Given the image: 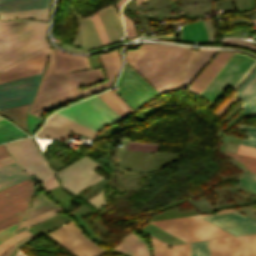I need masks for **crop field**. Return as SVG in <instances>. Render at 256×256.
I'll use <instances>...</instances> for the list:
<instances>
[{
	"label": "crop field",
	"instance_id": "crop-field-1",
	"mask_svg": "<svg viewBox=\"0 0 256 256\" xmlns=\"http://www.w3.org/2000/svg\"><path fill=\"white\" fill-rule=\"evenodd\" d=\"M55 50L60 70L45 72L37 89L34 103L29 111L32 113L47 106L46 108L34 113V115L38 117L45 110L51 109L59 104L97 93L109 87L112 85L121 67V61L116 50L109 53L100 54L99 56L109 81L79 91L83 89L81 88L77 90L81 85H89L103 80L104 78L102 70L94 69L80 72L63 73L71 70L89 68L87 57L67 55L57 49Z\"/></svg>",
	"mask_w": 256,
	"mask_h": 256
},
{
	"label": "crop field",
	"instance_id": "crop-field-2",
	"mask_svg": "<svg viewBox=\"0 0 256 256\" xmlns=\"http://www.w3.org/2000/svg\"><path fill=\"white\" fill-rule=\"evenodd\" d=\"M190 49L161 44H145L126 55L128 62L157 90ZM192 52L157 90L161 93L185 87L216 51Z\"/></svg>",
	"mask_w": 256,
	"mask_h": 256
},
{
	"label": "crop field",
	"instance_id": "crop-field-3",
	"mask_svg": "<svg viewBox=\"0 0 256 256\" xmlns=\"http://www.w3.org/2000/svg\"><path fill=\"white\" fill-rule=\"evenodd\" d=\"M48 23L0 21V72L51 47L45 39Z\"/></svg>",
	"mask_w": 256,
	"mask_h": 256
},
{
	"label": "crop field",
	"instance_id": "crop-field-4",
	"mask_svg": "<svg viewBox=\"0 0 256 256\" xmlns=\"http://www.w3.org/2000/svg\"><path fill=\"white\" fill-rule=\"evenodd\" d=\"M56 113L97 133L108 124L122 119L97 96Z\"/></svg>",
	"mask_w": 256,
	"mask_h": 256
},
{
	"label": "crop field",
	"instance_id": "crop-field-5",
	"mask_svg": "<svg viewBox=\"0 0 256 256\" xmlns=\"http://www.w3.org/2000/svg\"><path fill=\"white\" fill-rule=\"evenodd\" d=\"M149 223L186 242L232 236V234L196 216L154 221Z\"/></svg>",
	"mask_w": 256,
	"mask_h": 256
},
{
	"label": "crop field",
	"instance_id": "crop-field-6",
	"mask_svg": "<svg viewBox=\"0 0 256 256\" xmlns=\"http://www.w3.org/2000/svg\"><path fill=\"white\" fill-rule=\"evenodd\" d=\"M5 146L28 176L35 173L43 181L52 174V169L43 159L32 138L6 143Z\"/></svg>",
	"mask_w": 256,
	"mask_h": 256
},
{
	"label": "crop field",
	"instance_id": "crop-field-7",
	"mask_svg": "<svg viewBox=\"0 0 256 256\" xmlns=\"http://www.w3.org/2000/svg\"><path fill=\"white\" fill-rule=\"evenodd\" d=\"M254 61L247 56L235 54L201 95L214 104L227 87L234 86Z\"/></svg>",
	"mask_w": 256,
	"mask_h": 256
},
{
	"label": "crop field",
	"instance_id": "crop-field-8",
	"mask_svg": "<svg viewBox=\"0 0 256 256\" xmlns=\"http://www.w3.org/2000/svg\"><path fill=\"white\" fill-rule=\"evenodd\" d=\"M99 165L85 156L82 157L57 172L62 182V187L76 194L94 184L103 178L93 171Z\"/></svg>",
	"mask_w": 256,
	"mask_h": 256
},
{
	"label": "crop field",
	"instance_id": "crop-field-9",
	"mask_svg": "<svg viewBox=\"0 0 256 256\" xmlns=\"http://www.w3.org/2000/svg\"><path fill=\"white\" fill-rule=\"evenodd\" d=\"M116 85V92L135 111L157 93L130 67L123 69Z\"/></svg>",
	"mask_w": 256,
	"mask_h": 256
},
{
	"label": "crop field",
	"instance_id": "crop-field-10",
	"mask_svg": "<svg viewBox=\"0 0 256 256\" xmlns=\"http://www.w3.org/2000/svg\"><path fill=\"white\" fill-rule=\"evenodd\" d=\"M40 74L0 85V109L31 102Z\"/></svg>",
	"mask_w": 256,
	"mask_h": 256
},
{
	"label": "crop field",
	"instance_id": "crop-field-11",
	"mask_svg": "<svg viewBox=\"0 0 256 256\" xmlns=\"http://www.w3.org/2000/svg\"><path fill=\"white\" fill-rule=\"evenodd\" d=\"M33 182L28 179L0 191V219L27 209Z\"/></svg>",
	"mask_w": 256,
	"mask_h": 256
},
{
	"label": "crop field",
	"instance_id": "crop-field-12",
	"mask_svg": "<svg viewBox=\"0 0 256 256\" xmlns=\"http://www.w3.org/2000/svg\"><path fill=\"white\" fill-rule=\"evenodd\" d=\"M198 217L234 234H246L256 232V222L240 215L233 209L219 211L212 215H197Z\"/></svg>",
	"mask_w": 256,
	"mask_h": 256
},
{
	"label": "crop field",
	"instance_id": "crop-field-13",
	"mask_svg": "<svg viewBox=\"0 0 256 256\" xmlns=\"http://www.w3.org/2000/svg\"><path fill=\"white\" fill-rule=\"evenodd\" d=\"M73 132L94 139L95 133L56 114L52 115L38 136L66 139Z\"/></svg>",
	"mask_w": 256,
	"mask_h": 256
},
{
	"label": "crop field",
	"instance_id": "crop-field-14",
	"mask_svg": "<svg viewBox=\"0 0 256 256\" xmlns=\"http://www.w3.org/2000/svg\"><path fill=\"white\" fill-rule=\"evenodd\" d=\"M235 256H252L251 235L234 238ZM233 238L210 241V256H234Z\"/></svg>",
	"mask_w": 256,
	"mask_h": 256
},
{
	"label": "crop field",
	"instance_id": "crop-field-15",
	"mask_svg": "<svg viewBox=\"0 0 256 256\" xmlns=\"http://www.w3.org/2000/svg\"><path fill=\"white\" fill-rule=\"evenodd\" d=\"M47 60V50L0 73V83L19 79L43 71Z\"/></svg>",
	"mask_w": 256,
	"mask_h": 256
},
{
	"label": "crop field",
	"instance_id": "crop-field-16",
	"mask_svg": "<svg viewBox=\"0 0 256 256\" xmlns=\"http://www.w3.org/2000/svg\"><path fill=\"white\" fill-rule=\"evenodd\" d=\"M234 53L219 51L189 86L190 92L200 94Z\"/></svg>",
	"mask_w": 256,
	"mask_h": 256
},
{
	"label": "crop field",
	"instance_id": "crop-field-17",
	"mask_svg": "<svg viewBox=\"0 0 256 256\" xmlns=\"http://www.w3.org/2000/svg\"><path fill=\"white\" fill-rule=\"evenodd\" d=\"M109 42L119 41L124 35L122 21L112 5L97 12Z\"/></svg>",
	"mask_w": 256,
	"mask_h": 256
},
{
	"label": "crop field",
	"instance_id": "crop-field-18",
	"mask_svg": "<svg viewBox=\"0 0 256 256\" xmlns=\"http://www.w3.org/2000/svg\"><path fill=\"white\" fill-rule=\"evenodd\" d=\"M55 242H57L60 246L66 248L75 256H97L94 251L88 248L86 245L81 243L71 234L66 232L61 227L56 231L48 234Z\"/></svg>",
	"mask_w": 256,
	"mask_h": 256
},
{
	"label": "crop field",
	"instance_id": "crop-field-19",
	"mask_svg": "<svg viewBox=\"0 0 256 256\" xmlns=\"http://www.w3.org/2000/svg\"><path fill=\"white\" fill-rule=\"evenodd\" d=\"M113 248L132 256H151L150 246L134 232H129L122 237L121 241Z\"/></svg>",
	"mask_w": 256,
	"mask_h": 256
},
{
	"label": "crop field",
	"instance_id": "crop-field-20",
	"mask_svg": "<svg viewBox=\"0 0 256 256\" xmlns=\"http://www.w3.org/2000/svg\"><path fill=\"white\" fill-rule=\"evenodd\" d=\"M26 179L28 177L16 162L0 166V190Z\"/></svg>",
	"mask_w": 256,
	"mask_h": 256
},
{
	"label": "crop field",
	"instance_id": "crop-field-21",
	"mask_svg": "<svg viewBox=\"0 0 256 256\" xmlns=\"http://www.w3.org/2000/svg\"><path fill=\"white\" fill-rule=\"evenodd\" d=\"M50 0H0V12L49 8Z\"/></svg>",
	"mask_w": 256,
	"mask_h": 256
},
{
	"label": "crop field",
	"instance_id": "crop-field-22",
	"mask_svg": "<svg viewBox=\"0 0 256 256\" xmlns=\"http://www.w3.org/2000/svg\"><path fill=\"white\" fill-rule=\"evenodd\" d=\"M153 256H190V243L172 245V249L167 244L152 237Z\"/></svg>",
	"mask_w": 256,
	"mask_h": 256
},
{
	"label": "crop field",
	"instance_id": "crop-field-23",
	"mask_svg": "<svg viewBox=\"0 0 256 256\" xmlns=\"http://www.w3.org/2000/svg\"><path fill=\"white\" fill-rule=\"evenodd\" d=\"M71 10L81 25L84 48L90 49L102 45L90 16L82 19L79 14L75 15L73 9Z\"/></svg>",
	"mask_w": 256,
	"mask_h": 256
},
{
	"label": "crop field",
	"instance_id": "crop-field-24",
	"mask_svg": "<svg viewBox=\"0 0 256 256\" xmlns=\"http://www.w3.org/2000/svg\"><path fill=\"white\" fill-rule=\"evenodd\" d=\"M256 68L253 70V72L249 75V77L244 81V83L239 87L237 90L239 96L243 94V92L248 88V86L252 83V81L256 78ZM255 75V76H254ZM254 76V78H253ZM253 78V79H252ZM252 79V80H251ZM251 80V81H250ZM250 81V82H249ZM249 82V84H248ZM248 84V85H247ZM247 85V86H246ZM246 86V87H245ZM245 87V88H244ZM244 88V90H243ZM243 90V91H242ZM242 91V92H241ZM242 94H241V93ZM245 99L247 100L249 106L256 98V80L254 83L247 89V91L243 94ZM243 95L240 97L244 100L246 106H247V114H256V100L252 103V105L249 107L247 102L245 101ZM247 116H256V115H247Z\"/></svg>",
	"mask_w": 256,
	"mask_h": 256
},
{
	"label": "crop field",
	"instance_id": "crop-field-25",
	"mask_svg": "<svg viewBox=\"0 0 256 256\" xmlns=\"http://www.w3.org/2000/svg\"><path fill=\"white\" fill-rule=\"evenodd\" d=\"M182 35L185 40L207 42V36L202 20L183 26Z\"/></svg>",
	"mask_w": 256,
	"mask_h": 256
},
{
	"label": "crop field",
	"instance_id": "crop-field-26",
	"mask_svg": "<svg viewBox=\"0 0 256 256\" xmlns=\"http://www.w3.org/2000/svg\"><path fill=\"white\" fill-rule=\"evenodd\" d=\"M105 103L122 117L134 112L112 90L98 95Z\"/></svg>",
	"mask_w": 256,
	"mask_h": 256
},
{
	"label": "crop field",
	"instance_id": "crop-field-27",
	"mask_svg": "<svg viewBox=\"0 0 256 256\" xmlns=\"http://www.w3.org/2000/svg\"><path fill=\"white\" fill-rule=\"evenodd\" d=\"M30 104L1 110L0 113L15 122L19 127L29 133L26 125V113ZM30 134V133H29Z\"/></svg>",
	"mask_w": 256,
	"mask_h": 256
},
{
	"label": "crop field",
	"instance_id": "crop-field-28",
	"mask_svg": "<svg viewBox=\"0 0 256 256\" xmlns=\"http://www.w3.org/2000/svg\"><path fill=\"white\" fill-rule=\"evenodd\" d=\"M49 9L43 10H31V11H19V12H4L0 13L2 20L18 19V18H34L47 20Z\"/></svg>",
	"mask_w": 256,
	"mask_h": 256
},
{
	"label": "crop field",
	"instance_id": "crop-field-29",
	"mask_svg": "<svg viewBox=\"0 0 256 256\" xmlns=\"http://www.w3.org/2000/svg\"><path fill=\"white\" fill-rule=\"evenodd\" d=\"M62 227L65 230H67L69 233H71L73 236H75L77 239L82 241L84 244H86L88 247H90L92 250H94L96 253L100 254V253L106 251V250L98 247L95 243H93L91 240H89L87 237H85L82 234V232L78 229V227L75 225L74 221H71V222H69V225H64Z\"/></svg>",
	"mask_w": 256,
	"mask_h": 256
},
{
	"label": "crop field",
	"instance_id": "crop-field-30",
	"mask_svg": "<svg viewBox=\"0 0 256 256\" xmlns=\"http://www.w3.org/2000/svg\"><path fill=\"white\" fill-rule=\"evenodd\" d=\"M11 127L15 128L19 132H17L15 129H13ZM8 128H11V129H8ZM6 129H8V130H6ZM3 130H6V131H3ZM0 131H3V132H0V137L11 134V133H14V132H17V133H14V134H11V135L0 138V143L6 142V141H9V140H13V139H16V138L28 136L25 133H23L22 131H20L18 128H16L14 125H12L11 123L6 124L4 126H1Z\"/></svg>",
	"mask_w": 256,
	"mask_h": 256
},
{
	"label": "crop field",
	"instance_id": "crop-field-31",
	"mask_svg": "<svg viewBox=\"0 0 256 256\" xmlns=\"http://www.w3.org/2000/svg\"><path fill=\"white\" fill-rule=\"evenodd\" d=\"M238 180L241 183L237 187L256 191V173L248 172L238 177Z\"/></svg>",
	"mask_w": 256,
	"mask_h": 256
},
{
	"label": "crop field",
	"instance_id": "crop-field-32",
	"mask_svg": "<svg viewBox=\"0 0 256 256\" xmlns=\"http://www.w3.org/2000/svg\"><path fill=\"white\" fill-rule=\"evenodd\" d=\"M224 153L235 158L237 161L243 164L249 171L256 172V158L243 156L227 151H225Z\"/></svg>",
	"mask_w": 256,
	"mask_h": 256
},
{
	"label": "crop field",
	"instance_id": "crop-field-33",
	"mask_svg": "<svg viewBox=\"0 0 256 256\" xmlns=\"http://www.w3.org/2000/svg\"><path fill=\"white\" fill-rule=\"evenodd\" d=\"M191 256H209V241L191 243Z\"/></svg>",
	"mask_w": 256,
	"mask_h": 256
},
{
	"label": "crop field",
	"instance_id": "crop-field-34",
	"mask_svg": "<svg viewBox=\"0 0 256 256\" xmlns=\"http://www.w3.org/2000/svg\"><path fill=\"white\" fill-rule=\"evenodd\" d=\"M239 128L248 130L246 135L249 136L248 139H243L241 144L256 148V127L240 125Z\"/></svg>",
	"mask_w": 256,
	"mask_h": 256
},
{
	"label": "crop field",
	"instance_id": "crop-field-35",
	"mask_svg": "<svg viewBox=\"0 0 256 256\" xmlns=\"http://www.w3.org/2000/svg\"><path fill=\"white\" fill-rule=\"evenodd\" d=\"M159 144H142L136 142H129L126 149L144 150V151H157Z\"/></svg>",
	"mask_w": 256,
	"mask_h": 256
},
{
	"label": "crop field",
	"instance_id": "crop-field-36",
	"mask_svg": "<svg viewBox=\"0 0 256 256\" xmlns=\"http://www.w3.org/2000/svg\"><path fill=\"white\" fill-rule=\"evenodd\" d=\"M87 201L90 202L93 206H95L97 208V210L101 209V206L107 205L104 202L103 191L99 192L98 194H96L95 196L91 197Z\"/></svg>",
	"mask_w": 256,
	"mask_h": 256
},
{
	"label": "crop field",
	"instance_id": "crop-field-37",
	"mask_svg": "<svg viewBox=\"0 0 256 256\" xmlns=\"http://www.w3.org/2000/svg\"><path fill=\"white\" fill-rule=\"evenodd\" d=\"M91 18H92V21H93V23H94V25H95V27H96L98 33H99V36H100V39H101L103 45H104L105 43H109L108 40H107V38H106V35H105V33H104V30H103V28H102V26H101V23H100V21H99V18H98V16H97V14H94Z\"/></svg>",
	"mask_w": 256,
	"mask_h": 256
},
{
	"label": "crop field",
	"instance_id": "crop-field-38",
	"mask_svg": "<svg viewBox=\"0 0 256 256\" xmlns=\"http://www.w3.org/2000/svg\"><path fill=\"white\" fill-rule=\"evenodd\" d=\"M59 210H61L60 207H58V208H56V209H54V210H52V211H50V212H47V213H44V214H41V215H38V216H35V217H32V218H29V219H27V220H23V221L21 222V224L18 226L17 229H19V228H21V227H23V226H26V225H28V224H31V223H33V222H35V221H38V220H40V219H42V218H44V217H46V216H48V215H50V214H52V213H54V212H57V211H59Z\"/></svg>",
	"mask_w": 256,
	"mask_h": 256
},
{
	"label": "crop field",
	"instance_id": "crop-field-39",
	"mask_svg": "<svg viewBox=\"0 0 256 256\" xmlns=\"http://www.w3.org/2000/svg\"><path fill=\"white\" fill-rule=\"evenodd\" d=\"M28 123H29V130L33 134L34 131L39 127V125L42 123V119L37 118L31 114L28 113Z\"/></svg>",
	"mask_w": 256,
	"mask_h": 256
},
{
	"label": "crop field",
	"instance_id": "crop-field-40",
	"mask_svg": "<svg viewBox=\"0 0 256 256\" xmlns=\"http://www.w3.org/2000/svg\"><path fill=\"white\" fill-rule=\"evenodd\" d=\"M124 20H125V28H126L127 36H129V37L136 36L137 34H136L132 20L127 18L125 15H124Z\"/></svg>",
	"mask_w": 256,
	"mask_h": 256
},
{
	"label": "crop field",
	"instance_id": "crop-field-41",
	"mask_svg": "<svg viewBox=\"0 0 256 256\" xmlns=\"http://www.w3.org/2000/svg\"><path fill=\"white\" fill-rule=\"evenodd\" d=\"M223 44H237L241 46H245L248 48L256 49V46L245 41L237 40V39H226L222 41Z\"/></svg>",
	"mask_w": 256,
	"mask_h": 256
},
{
	"label": "crop field",
	"instance_id": "crop-field-42",
	"mask_svg": "<svg viewBox=\"0 0 256 256\" xmlns=\"http://www.w3.org/2000/svg\"><path fill=\"white\" fill-rule=\"evenodd\" d=\"M17 224H18V223H17ZM17 224H14V225H12V226H10V227H7V228H5V229H3V230L0 231V242H2V241H4L5 239H7V238H9V237H11V236L14 235V234H13V229L15 228V226H16Z\"/></svg>",
	"mask_w": 256,
	"mask_h": 256
},
{
	"label": "crop field",
	"instance_id": "crop-field-43",
	"mask_svg": "<svg viewBox=\"0 0 256 256\" xmlns=\"http://www.w3.org/2000/svg\"><path fill=\"white\" fill-rule=\"evenodd\" d=\"M237 153L252 156V157H256V149L246 147V146H242V145L239 146V149H238Z\"/></svg>",
	"mask_w": 256,
	"mask_h": 256
},
{
	"label": "crop field",
	"instance_id": "crop-field-44",
	"mask_svg": "<svg viewBox=\"0 0 256 256\" xmlns=\"http://www.w3.org/2000/svg\"><path fill=\"white\" fill-rule=\"evenodd\" d=\"M57 185H59V184L55 178V175H53L50 179L43 182V188L47 189V190H49Z\"/></svg>",
	"mask_w": 256,
	"mask_h": 256
},
{
	"label": "crop field",
	"instance_id": "crop-field-45",
	"mask_svg": "<svg viewBox=\"0 0 256 256\" xmlns=\"http://www.w3.org/2000/svg\"><path fill=\"white\" fill-rule=\"evenodd\" d=\"M49 60H50L49 65L46 70L58 68L55 53H54L53 49L50 50V59Z\"/></svg>",
	"mask_w": 256,
	"mask_h": 256
},
{
	"label": "crop field",
	"instance_id": "crop-field-46",
	"mask_svg": "<svg viewBox=\"0 0 256 256\" xmlns=\"http://www.w3.org/2000/svg\"><path fill=\"white\" fill-rule=\"evenodd\" d=\"M256 61L253 63V65L247 70V72L241 77V79L235 84L233 89H237L238 86L244 81V79L249 75V73L255 68Z\"/></svg>",
	"mask_w": 256,
	"mask_h": 256
},
{
	"label": "crop field",
	"instance_id": "crop-field-47",
	"mask_svg": "<svg viewBox=\"0 0 256 256\" xmlns=\"http://www.w3.org/2000/svg\"><path fill=\"white\" fill-rule=\"evenodd\" d=\"M13 244H15L14 236L11 237V238H9V239H7V240H5L3 243L0 244V253H1L4 249L10 247V246L13 245Z\"/></svg>",
	"mask_w": 256,
	"mask_h": 256
},
{
	"label": "crop field",
	"instance_id": "crop-field-48",
	"mask_svg": "<svg viewBox=\"0 0 256 256\" xmlns=\"http://www.w3.org/2000/svg\"><path fill=\"white\" fill-rule=\"evenodd\" d=\"M10 157L9 153L6 151L5 147L3 144L0 145V159Z\"/></svg>",
	"mask_w": 256,
	"mask_h": 256
},
{
	"label": "crop field",
	"instance_id": "crop-field-49",
	"mask_svg": "<svg viewBox=\"0 0 256 256\" xmlns=\"http://www.w3.org/2000/svg\"><path fill=\"white\" fill-rule=\"evenodd\" d=\"M30 232H28L26 229L21 231L20 233L16 234V241L20 240L24 236L28 235Z\"/></svg>",
	"mask_w": 256,
	"mask_h": 256
},
{
	"label": "crop field",
	"instance_id": "crop-field-50",
	"mask_svg": "<svg viewBox=\"0 0 256 256\" xmlns=\"http://www.w3.org/2000/svg\"><path fill=\"white\" fill-rule=\"evenodd\" d=\"M253 256H256V235H252Z\"/></svg>",
	"mask_w": 256,
	"mask_h": 256
},
{
	"label": "crop field",
	"instance_id": "crop-field-51",
	"mask_svg": "<svg viewBox=\"0 0 256 256\" xmlns=\"http://www.w3.org/2000/svg\"><path fill=\"white\" fill-rule=\"evenodd\" d=\"M10 162H14L12 157L0 160V165L7 164V163H10Z\"/></svg>",
	"mask_w": 256,
	"mask_h": 256
},
{
	"label": "crop field",
	"instance_id": "crop-field-52",
	"mask_svg": "<svg viewBox=\"0 0 256 256\" xmlns=\"http://www.w3.org/2000/svg\"><path fill=\"white\" fill-rule=\"evenodd\" d=\"M63 48H65L67 50H73V51H85V50L74 48V47H71V46H68V45H65V44L63 45Z\"/></svg>",
	"mask_w": 256,
	"mask_h": 256
},
{
	"label": "crop field",
	"instance_id": "crop-field-53",
	"mask_svg": "<svg viewBox=\"0 0 256 256\" xmlns=\"http://www.w3.org/2000/svg\"><path fill=\"white\" fill-rule=\"evenodd\" d=\"M126 0H120L116 5H117V7H118V9H119V11H120V8H121V6L123 5V3L125 2Z\"/></svg>",
	"mask_w": 256,
	"mask_h": 256
},
{
	"label": "crop field",
	"instance_id": "crop-field-54",
	"mask_svg": "<svg viewBox=\"0 0 256 256\" xmlns=\"http://www.w3.org/2000/svg\"><path fill=\"white\" fill-rule=\"evenodd\" d=\"M146 36V35H143ZM148 37V36H147ZM154 37H172L174 38V34H170V35H162V36H154Z\"/></svg>",
	"mask_w": 256,
	"mask_h": 256
},
{
	"label": "crop field",
	"instance_id": "crop-field-55",
	"mask_svg": "<svg viewBox=\"0 0 256 256\" xmlns=\"http://www.w3.org/2000/svg\"><path fill=\"white\" fill-rule=\"evenodd\" d=\"M144 1H146V0H135V2L137 3V5L143 3Z\"/></svg>",
	"mask_w": 256,
	"mask_h": 256
},
{
	"label": "crop field",
	"instance_id": "crop-field-56",
	"mask_svg": "<svg viewBox=\"0 0 256 256\" xmlns=\"http://www.w3.org/2000/svg\"><path fill=\"white\" fill-rule=\"evenodd\" d=\"M5 123H9V122L6 121V120H4V121H1V122H0V125L5 124Z\"/></svg>",
	"mask_w": 256,
	"mask_h": 256
},
{
	"label": "crop field",
	"instance_id": "crop-field-57",
	"mask_svg": "<svg viewBox=\"0 0 256 256\" xmlns=\"http://www.w3.org/2000/svg\"><path fill=\"white\" fill-rule=\"evenodd\" d=\"M17 256H24L21 252H18Z\"/></svg>",
	"mask_w": 256,
	"mask_h": 256
},
{
	"label": "crop field",
	"instance_id": "crop-field-58",
	"mask_svg": "<svg viewBox=\"0 0 256 256\" xmlns=\"http://www.w3.org/2000/svg\"><path fill=\"white\" fill-rule=\"evenodd\" d=\"M1 120H4V119L0 117V121H1Z\"/></svg>",
	"mask_w": 256,
	"mask_h": 256
}]
</instances>
